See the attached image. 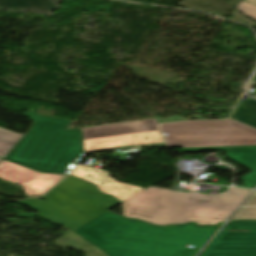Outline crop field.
<instances>
[{
  "label": "crop field",
  "mask_w": 256,
  "mask_h": 256,
  "mask_svg": "<svg viewBox=\"0 0 256 256\" xmlns=\"http://www.w3.org/2000/svg\"><path fill=\"white\" fill-rule=\"evenodd\" d=\"M220 225L216 228L192 224L158 227L123 219L108 211L74 233L110 256H195ZM186 244L195 246L185 247Z\"/></svg>",
  "instance_id": "obj_1"
},
{
  "label": "crop field",
  "mask_w": 256,
  "mask_h": 256,
  "mask_svg": "<svg viewBox=\"0 0 256 256\" xmlns=\"http://www.w3.org/2000/svg\"><path fill=\"white\" fill-rule=\"evenodd\" d=\"M251 190L231 188L224 194L210 196L177 192L151 186L123 202L125 217L158 225L194 221L199 225L225 222Z\"/></svg>",
  "instance_id": "obj_2"
},
{
  "label": "crop field",
  "mask_w": 256,
  "mask_h": 256,
  "mask_svg": "<svg viewBox=\"0 0 256 256\" xmlns=\"http://www.w3.org/2000/svg\"><path fill=\"white\" fill-rule=\"evenodd\" d=\"M23 115L34 123L5 159L42 172L71 171L84 154L82 129L66 130L73 121L33 110Z\"/></svg>",
  "instance_id": "obj_3"
},
{
  "label": "crop field",
  "mask_w": 256,
  "mask_h": 256,
  "mask_svg": "<svg viewBox=\"0 0 256 256\" xmlns=\"http://www.w3.org/2000/svg\"><path fill=\"white\" fill-rule=\"evenodd\" d=\"M42 199L19 201L27 204L38 214L19 213L18 217L38 216L55 225H65L73 230L119 205L112 196L102 195L95 185L68 176Z\"/></svg>",
  "instance_id": "obj_4"
},
{
  "label": "crop field",
  "mask_w": 256,
  "mask_h": 256,
  "mask_svg": "<svg viewBox=\"0 0 256 256\" xmlns=\"http://www.w3.org/2000/svg\"><path fill=\"white\" fill-rule=\"evenodd\" d=\"M166 144L174 147L256 145V129L233 121H185L161 124Z\"/></svg>",
  "instance_id": "obj_5"
},
{
  "label": "crop field",
  "mask_w": 256,
  "mask_h": 256,
  "mask_svg": "<svg viewBox=\"0 0 256 256\" xmlns=\"http://www.w3.org/2000/svg\"><path fill=\"white\" fill-rule=\"evenodd\" d=\"M199 256H256V221L226 225Z\"/></svg>",
  "instance_id": "obj_6"
},
{
  "label": "crop field",
  "mask_w": 256,
  "mask_h": 256,
  "mask_svg": "<svg viewBox=\"0 0 256 256\" xmlns=\"http://www.w3.org/2000/svg\"><path fill=\"white\" fill-rule=\"evenodd\" d=\"M64 176L41 174L5 160L0 163V177L22 185L28 196L44 194Z\"/></svg>",
  "instance_id": "obj_7"
},
{
  "label": "crop field",
  "mask_w": 256,
  "mask_h": 256,
  "mask_svg": "<svg viewBox=\"0 0 256 256\" xmlns=\"http://www.w3.org/2000/svg\"><path fill=\"white\" fill-rule=\"evenodd\" d=\"M71 175L96 184L102 193L113 195L121 203L144 190V188L117 182L110 177L108 172L86 166L76 168Z\"/></svg>",
  "instance_id": "obj_8"
},
{
  "label": "crop field",
  "mask_w": 256,
  "mask_h": 256,
  "mask_svg": "<svg viewBox=\"0 0 256 256\" xmlns=\"http://www.w3.org/2000/svg\"><path fill=\"white\" fill-rule=\"evenodd\" d=\"M159 131L84 140L85 153L162 142Z\"/></svg>",
  "instance_id": "obj_9"
},
{
  "label": "crop field",
  "mask_w": 256,
  "mask_h": 256,
  "mask_svg": "<svg viewBox=\"0 0 256 256\" xmlns=\"http://www.w3.org/2000/svg\"><path fill=\"white\" fill-rule=\"evenodd\" d=\"M185 151L195 152L197 150H226L227 157L231 160L251 169V173L245 175L240 180L244 185L240 187L254 188L256 186V146H228V147H209V148H181Z\"/></svg>",
  "instance_id": "obj_10"
},
{
  "label": "crop field",
  "mask_w": 256,
  "mask_h": 256,
  "mask_svg": "<svg viewBox=\"0 0 256 256\" xmlns=\"http://www.w3.org/2000/svg\"><path fill=\"white\" fill-rule=\"evenodd\" d=\"M157 120H144L83 128L84 139L159 130Z\"/></svg>",
  "instance_id": "obj_11"
},
{
  "label": "crop field",
  "mask_w": 256,
  "mask_h": 256,
  "mask_svg": "<svg viewBox=\"0 0 256 256\" xmlns=\"http://www.w3.org/2000/svg\"><path fill=\"white\" fill-rule=\"evenodd\" d=\"M63 0H0V9L51 14Z\"/></svg>",
  "instance_id": "obj_12"
},
{
  "label": "crop field",
  "mask_w": 256,
  "mask_h": 256,
  "mask_svg": "<svg viewBox=\"0 0 256 256\" xmlns=\"http://www.w3.org/2000/svg\"><path fill=\"white\" fill-rule=\"evenodd\" d=\"M21 138L20 134L0 128V157L4 158Z\"/></svg>",
  "instance_id": "obj_13"
},
{
  "label": "crop field",
  "mask_w": 256,
  "mask_h": 256,
  "mask_svg": "<svg viewBox=\"0 0 256 256\" xmlns=\"http://www.w3.org/2000/svg\"><path fill=\"white\" fill-rule=\"evenodd\" d=\"M231 119L256 128V111L240 104L237 105Z\"/></svg>",
  "instance_id": "obj_14"
},
{
  "label": "crop field",
  "mask_w": 256,
  "mask_h": 256,
  "mask_svg": "<svg viewBox=\"0 0 256 256\" xmlns=\"http://www.w3.org/2000/svg\"><path fill=\"white\" fill-rule=\"evenodd\" d=\"M237 9L256 20V5L242 1Z\"/></svg>",
  "instance_id": "obj_15"
},
{
  "label": "crop field",
  "mask_w": 256,
  "mask_h": 256,
  "mask_svg": "<svg viewBox=\"0 0 256 256\" xmlns=\"http://www.w3.org/2000/svg\"><path fill=\"white\" fill-rule=\"evenodd\" d=\"M232 219H256V208H241Z\"/></svg>",
  "instance_id": "obj_16"
},
{
  "label": "crop field",
  "mask_w": 256,
  "mask_h": 256,
  "mask_svg": "<svg viewBox=\"0 0 256 256\" xmlns=\"http://www.w3.org/2000/svg\"><path fill=\"white\" fill-rule=\"evenodd\" d=\"M243 206H256V191L252 196L245 202Z\"/></svg>",
  "instance_id": "obj_17"
},
{
  "label": "crop field",
  "mask_w": 256,
  "mask_h": 256,
  "mask_svg": "<svg viewBox=\"0 0 256 256\" xmlns=\"http://www.w3.org/2000/svg\"><path fill=\"white\" fill-rule=\"evenodd\" d=\"M240 104L248 106V107L256 110V101L255 100L249 99L246 101H240Z\"/></svg>",
  "instance_id": "obj_18"
},
{
  "label": "crop field",
  "mask_w": 256,
  "mask_h": 256,
  "mask_svg": "<svg viewBox=\"0 0 256 256\" xmlns=\"http://www.w3.org/2000/svg\"><path fill=\"white\" fill-rule=\"evenodd\" d=\"M145 148L161 147V144L143 146Z\"/></svg>",
  "instance_id": "obj_19"
},
{
  "label": "crop field",
  "mask_w": 256,
  "mask_h": 256,
  "mask_svg": "<svg viewBox=\"0 0 256 256\" xmlns=\"http://www.w3.org/2000/svg\"><path fill=\"white\" fill-rule=\"evenodd\" d=\"M244 1L251 2V3L256 4V0H244Z\"/></svg>",
  "instance_id": "obj_20"
},
{
  "label": "crop field",
  "mask_w": 256,
  "mask_h": 256,
  "mask_svg": "<svg viewBox=\"0 0 256 256\" xmlns=\"http://www.w3.org/2000/svg\"><path fill=\"white\" fill-rule=\"evenodd\" d=\"M252 80H255L256 81V74H255V76L253 77V79Z\"/></svg>",
  "instance_id": "obj_21"
},
{
  "label": "crop field",
  "mask_w": 256,
  "mask_h": 256,
  "mask_svg": "<svg viewBox=\"0 0 256 256\" xmlns=\"http://www.w3.org/2000/svg\"><path fill=\"white\" fill-rule=\"evenodd\" d=\"M1 160V159H0Z\"/></svg>",
  "instance_id": "obj_22"
}]
</instances>
